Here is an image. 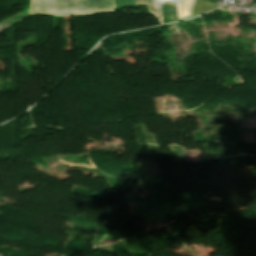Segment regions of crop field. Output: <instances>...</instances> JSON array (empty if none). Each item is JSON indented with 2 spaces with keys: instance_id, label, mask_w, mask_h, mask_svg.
<instances>
[{
  "instance_id": "3",
  "label": "crop field",
  "mask_w": 256,
  "mask_h": 256,
  "mask_svg": "<svg viewBox=\"0 0 256 256\" xmlns=\"http://www.w3.org/2000/svg\"><path fill=\"white\" fill-rule=\"evenodd\" d=\"M136 7L148 5L150 12L154 15L161 14L159 0H135Z\"/></svg>"
},
{
  "instance_id": "2",
  "label": "crop field",
  "mask_w": 256,
  "mask_h": 256,
  "mask_svg": "<svg viewBox=\"0 0 256 256\" xmlns=\"http://www.w3.org/2000/svg\"><path fill=\"white\" fill-rule=\"evenodd\" d=\"M179 20L192 16L195 0H176Z\"/></svg>"
},
{
  "instance_id": "1",
  "label": "crop field",
  "mask_w": 256,
  "mask_h": 256,
  "mask_svg": "<svg viewBox=\"0 0 256 256\" xmlns=\"http://www.w3.org/2000/svg\"><path fill=\"white\" fill-rule=\"evenodd\" d=\"M114 0H31L28 13L71 15L116 11Z\"/></svg>"
},
{
  "instance_id": "4",
  "label": "crop field",
  "mask_w": 256,
  "mask_h": 256,
  "mask_svg": "<svg viewBox=\"0 0 256 256\" xmlns=\"http://www.w3.org/2000/svg\"><path fill=\"white\" fill-rule=\"evenodd\" d=\"M170 22L178 20L175 0H167Z\"/></svg>"
}]
</instances>
